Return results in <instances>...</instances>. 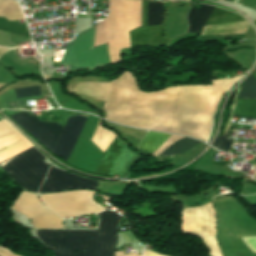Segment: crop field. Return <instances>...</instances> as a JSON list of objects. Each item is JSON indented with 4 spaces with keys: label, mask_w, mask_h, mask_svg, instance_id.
<instances>
[{
    "label": "crop field",
    "mask_w": 256,
    "mask_h": 256,
    "mask_svg": "<svg viewBox=\"0 0 256 256\" xmlns=\"http://www.w3.org/2000/svg\"><path fill=\"white\" fill-rule=\"evenodd\" d=\"M233 116L256 118V99L237 98Z\"/></svg>",
    "instance_id": "d9b57169"
},
{
    "label": "crop field",
    "mask_w": 256,
    "mask_h": 256,
    "mask_svg": "<svg viewBox=\"0 0 256 256\" xmlns=\"http://www.w3.org/2000/svg\"><path fill=\"white\" fill-rule=\"evenodd\" d=\"M183 136H176L171 135L169 139L161 146L159 147L153 155L158 156L163 150H165L171 143H173L175 140L182 138Z\"/></svg>",
    "instance_id": "00972430"
},
{
    "label": "crop field",
    "mask_w": 256,
    "mask_h": 256,
    "mask_svg": "<svg viewBox=\"0 0 256 256\" xmlns=\"http://www.w3.org/2000/svg\"><path fill=\"white\" fill-rule=\"evenodd\" d=\"M163 3L161 2H148V18L147 25L162 24Z\"/></svg>",
    "instance_id": "bc2a9ffb"
},
{
    "label": "crop field",
    "mask_w": 256,
    "mask_h": 256,
    "mask_svg": "<svg viewBox=\"0 0 256 256\" xmlns=\"http://www.w3.org/2000/svg\"><path fill=\"white\" fill-rule=\"evenodd\" d=\"M143 256H164V255H161V254H158L154 251H151L149 249H145L144 253H143Z\"/></svg>",
    "instance_id": "4177f3b9"
},
{
    "label": "crop field",
    "mask_w": 256,
    "mask_h": 256,
    "mask_svg": "<svg viewBox=\"0 0 256 256\" xmlns=\"http://www.w3.org/2000/svg\"><path fill=\"white\" fill-rule=\"evenodd\" d=\"M227 1H230V0H227Z\"/></svg>",
    "instance_id": "eef30255"
},
{
    "label": "crop field",
    "mask_w": 256,
    "mask_h": 256,
    "mask_svg": "<svg viewBox=\"0 0 256 256\" xmlns=\"http://www.w3.org/2000/svg\"><path fill=\"white\" fill-rule=\"evenodd\" d=\"M241 239L251 249L252 252H256V237H244Z\"/></svg>",
    "instance_id": "a9b5d70f"
},
{
    "label": "crop field",
    "mask_w": 256,
    "mask_h": 256,
    "mask_svg": "<svg viewBox=\"0 0 256 256\" xmlns=\"http://www.w3.org/2000/svg\"><path fill=\"white\" fill-rule=\"evenodd\" d=\"M235 0H231V2H234Z\"/></svg>",
    "instance_id": "730fd06b"
},
{
    "label": "crop field",
    "mask_w": 256,
    "mask_h": 256,
    "mask_svg": "<svg viewBox=\"0 0 256 256\" xmlns=\"http://www.w3.org/2000/svg\"><path fill=\"white\" fill-rule=\"evenodd\" d=\"M181 86L143 93L128 71L111 82L103 109L107 120L118 124L168 132Z\"/></svg>",
    "instance_id": "8a807250"
},
{
    "label": "crop field",
    "mask_w": 256,
    "mask_h": 256,
    "mask_svg": "<svg viewBox=\"0 0 256 256\" xmlns=\"http://www.w3.org/2000/svg\"><path fill=\"white\" fill-rule=\"evenodd\" d=\"M17 96L41 95L40 86L15 87Z\"/></svg>",
    "instance_id": "92a150f3"
},
{
    "label": "crop field",
    "mask_w": 256,
    "mask_h": 256,
    "mask_svg": "<svg viewBox=\"0 0 256 256\" xmlns=\"http://www.w3.org/2000/svg\"><path fill=\"white\" fill-rule=\"evenodd\" d=\"M233 140L234 139H229V133L224 132L222 137L217 138L213 145L225 152H228Z\"/></svg>",
    "instance_id": "dafd665d"
},
{
    "label": "crop field",
    "mask_w": 256,
    "mask_h": 256,
    "mask_svg": "<svg viewBox=\"0 0 256 256\" xmlns=\"http://www.w3.org/2000/svg\"><path fill=\"white\" fill-rule=\"evenodd\" d=\"M200 142L184 137L176 142H174L172 145H170L165 151H163L162 155H172V154H178L182 153L195 145L199 144Z\"/></svg>",
    "instance_id": "4a817a6b"
},
{
    "label": "crop field",
    "mask_w": 256,
    "mask_h": 256,
    "mask_svg": "<svg viewBox=\"0 0 256 256\" xmlns=\"http://www.w3.org/2000/svg\"><path fill=\"white\" fill-rule=\"evenodd\" d=\"M94 192L77 191L40 195L45 205L59 216L72 218L80 215L96 214L104 208L97 205L92 195Z\"/></svg>",
    "instance_id": "e52e79f7"
},
{
    "label": "crop field",
    "mask_w": 256,
    "mask_h": 256,
    "mask_svg": "<svg viewBox=\"0 0 256 256\" xmlns=\"http://www.w3.org/2000/svg\"><path fill=\"white\" fill-rule=\"evenodd\" d=\"M243 20L244 19L236 13L223 10L219 7H215V9L212 11L209 19L207 20L205 26L221 24V23L236 22V21H243Z\"/></svg>",
    "instance_id": "5142ce71"
},
{
    "label": "crop field",
    "mask_w": 256,
    "mask_h": 256,
    "mask_svg": "<svg viewBox=\"0 0 256 256\" xmlns=\"http://www.w3.org/2000/svg\"><path fill=\"white\" fill-rule=\"evenodd\" d=\"M110 91V83H77L73 92L106 101Z\"/></svg>",
    "instance_id": "28ad6ade"
},
{
    "label": "crop field",
    "mask_w": 256,
    "mask_h": 256,
    "mask_svg": "<svg viewBox=\"0 0 256 256\" xmlns=\"http://www.w3.org/2000/svg\"><path fill=\"white\" fill-rule=\"evenodd\" d=\"M213 9L214 6L206 4H202L200 9L191 7V10L187 15L189 24L188 32L200 31Z\"/></svg>",
    "instance_id": "d1516ede"
},
{
    "label": "crop field",
    "mask_w": 256,
    "mask_h": 256,
    "mask_svg": "<svg viewBox=\"0 0 256 256\" xmlns=\"http://www.w3.org/2000/svg\"><path fill=\"white\" fill-rule=\"evenodd\" d=\"M170 135L148 132L139 145V153L152 154Z\"/></svg>",
    "instance_id": "cbeb9de0"
},
{
    "label": "crop field",
    "mask_w": 256,
    "mask_h": 256,
    "mask_svg": "<svg viewBox=\"0 0 256 256\" xmlns=\"http://www.w3.org/2000/svg\"><path fill=\"white\" fill-rule=\"evenodd\" d=\"M40 193L54 192L66 189L90 188L96 189L95 181L87 180L77 175L65 173L59 169L51 167Z\"/></svg>",
    "instance_id": "5a996713"
},
{
    "label": "crop field",
    "mask_w": 256,
    "mask_h": 256,
    "mask_svg": "<svg viewBox=\"0 0 256 256\" xmlns=\"http://www.w3.org/2000/svg\"><path fill=\"white\" fill-rule=\"evenodd\" d=\"M248 26L247 21L208 26L204 28L202 35L245 33Z\"/></svg>",
    "instance_id": "22f410ed"
},
{
    "label": "crop field",
    "mask_w": 256,
    "mask_h": 256,
    "mask_svg": "<svg viewBox=\"0 0 256 256\" xmlns=\"http://www.w3.org/2000/svg\"><path fill=\"white\" fill-rule=\"evenodd\" d=\"M116 133L101 126V120L97 125L96 133L91 140L103 153L111 141L116 137Z\"/></svg>",
    "instance_id": "733c2abd"
},
{
    "label": "crop field",
    "mask_w": 256,
    "mask_h": 256,
    "mask_svg": "<svg viewBox=\"0 0 256 256\" xmlns=\"http://www.w3.org/2000/svg\"><path fill=\"white\" fill-rule=\"evenodd\" d=\"M10 117L38 139L51 153L61 135L53 154L55 153L65 161L87 118L81 115L69 118L64 130L59 124L50 123L59 135L49 123L40 122L34 116H30L28 112ZM137 159V153L129 150L128 144L116 137L105 151L95 173L108 176H114L115 174L123 176L129 172Z\"/></svg>",
    "instance_id": "ac0d7876"
},
{
    "label": "crop field",
    "mask_w": 256,
    "mask_h": 256,
    "mask_svg": "<svg viewBox=\"0 0 256 256\" xmlns=\"http://www.w3.org/2000/svg\"><path fill=\"white\" fill-rule=\"evenodd\" d=\"M99 216L98 231H37L38 236L59 256H113L120 215L105 211Z\"/></svg>",
    "instance_id": "34b2d1b8"
},
{
    "label": "crop field",
    "mask_w": 256,
    "mask_h": 256,
    "mask_svg": "<svg viewBox=\"0 0 256 256\" xmlns=\"http://www.w3.org/2000/svg\"><path fill=\"white\" fill-rule=\"evenodd\" d=\"M183 233L199 236L207 245L211 256H221L215 235V214L212 202L182 211Z\"/></svg>",
    "instance_id": "dd49c442"
},
{
    "label": "crop field",
    "mask_w": 256,
    "mask_h": 256,
    "mask_svg": "<svg viewBox=\"0 0 256 256\" xmlns=\"http://www.w3.org/2000/svg\"><path fill=\"white\" fill-rule=\"evenodd\" d=\"M13 209L30 217L36 228L63 229L61 218L45 208L34 194L23 192Z\"/></svg>",
    "instance_id": "d8731c3e"
},
{
    "label": "crop field",
    "mask_w": 256,
    "mask_h": 256,
    "mask_svg": "<svg viewBox=\"0 0 256 256\" xmlns=\"http://www.w3.org/2000/svg\"><path fill=\"white\" fill-rule=\"evenodd\" d=\"M45 157L34 147L0 163L9 173L30 191H38L49 166L42 161Z\"/></svg>",
    "instance_id": "f4fd0767"
},
{
    "label": "crop field",
    "mask_w": 256,
    "mask_h": 256,
    "mask_svg": "<svg viewBox=\"0 0 256 256\" xmlns=\"http://www.w3.org/2000/svg\"><path fill=\"white\" fill-rule=\"evenodd\" d=\"M94 31L95 27L70 41L60 65H70V71H94L99 66L111 64L107 44L93 48Z\"/></svg>",
    "instance_id": "412701ff"
},
{
    "label": "crop field",
    "mask_w": 256,
    "mask_h": 256,
    "mask_svg": "<svg viewBox=\"0 0 256 256\" xmlns=\"http://www.w3.org/2000/svg\"><path fill=\"white\" fill-rule=\"evenodd\" d=\"M238 97H256V78L252 74L246 79Z\"/></svg>",
    "instance_id": "214f88e0"
},
{
    "label": "crop field",
    "mask_w": 256,
    "mask_h": 256,
    "mask_svg": "<svg viewBox=\"0 0 256 256\" xmlns=\"http://www.w3.org/2000/svg\"><path fill=\"white\" fill-rule=\"evenodd\" d=\"M147 2L143 1V27L130 32L133 45L167 44L169 39L162 37V25L146 26Z\"/></svg>",
    "instance_id": "3316defc"
}]
</instances>
